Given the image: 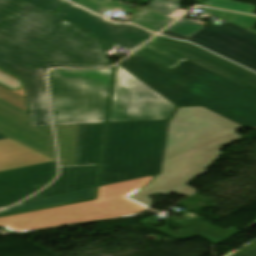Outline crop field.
<instances>
[{
    "label": "crop field",
    "mask_w": 256,
    "mask_h": 256,
    "mask_svg": "<svg viewBox=\"0 0 256 256\" xmlns=\"http://www.w3.org/2000/svg\"><path fill=\"white\" fill-rule=\"evenodd\" d=\"M95 189L96 188L79 191V192L63 194V195H58V196H53V197H48V198H43V199L27 201V202H24V203L16 206V207H12L8 210L1 211L0 216L17 213V212H22V211H27V210H32V209H37V208L58 205V204L88 200V199L93 198Z\"/></svg>",
    "instance_id": "obj_18"
},
{
    "label": "crop field",
    "mask_w": 256,
    "mask_h": 256,
    "mask_svg": "<svg viewBox=\"0 0 256 256\" xmlns=\"http://www.w3.org/2000/svg\"><path fill=\"white\" fill-rule=\"evenodd\" d=\"M108 122L170 119L176 106L120 66Z\"/></svg>",
    "instance_id": "obj_7"
},
{
    "label": "crop field",
    "mask_w": 256,
    "mask_h": 256,
    "mask_svg": "<svg viewBox=\"0 0 256 256\" xmlns=\"http://www.w3.org/2000/svg\"><path fill=\"white\" fill-rule=\"evenodd\" d=\"M0 99L28 112L26 98L20 95H17L1 86H0Z\"/></svg>",
    "instance_id": "obj_24"
},
{
    "label": "crop field",
    "mask_w": 256,
    "mask_h": 256,
    "mask_svg": "<svg viewBox=\"0 0 256 256\" xmlns=\"http://www.w3.org/2000/svg\"><path fill=\"white\" fill-rule=\"evenodd\" d=\"M242 128L203 107L179 108L170 121L162 175L130 198L150 207L153 201L147 197L155 193L168 195L183 186L174 193L197 194L184 186L207 171L222 154L221 147L241 139L235 132Z\"/></svg>",
    "instance_id": "obj_2"
},
{
    "label": "crop field",
    "mask_w": 256,
    "mask_h": 256,
    "mask_svg": "<svg viewBox=\"0 0 256 256\" xmlns=\"http://www.w3.org/2000/svg\"><path fill=\"white\" fill-rule=\"evenodd\" d=\"M61 166L74 165L79 125L55 126Z\"/></svg>",
    "instance_id": "obj_19"
},
{
    "label": "crop field",
    "mask_w": 256,
    "mask_h": 256,
    "mask_svg": "<svg viewBox=\"0 0 256 256\" xmlns=\"http://www.w3.org/2000/svg\"><path fill=\"white\" fill-rule=\"evenodd\" d=\"M0 132L56 160L51 126L32 128L30 114L2 100Z\"/></svg>",
    "instance_id": "obj_11"
},
{
    "label": "crop field",
    "mask_w": 256,
    "mask_h": 256,
    "mask_svg": "<svg viewBox=\"0 0 256 256\" xmlns=\"http://www.w3.org/2000/svg\"><path fill=\"white\" fill-rule=\"evenodd\" d=\"M226 256H256V240L249 242L244 247L233 251Z\"/></svg>",
    "instance_id": "obj_27"
},
{
    "label": "crop field",
    "mask_w": 256,
    "mask_h": 256,
    "mask_svg": "<svg viewBox=\"0 0 256 256\" xmlns=\"http://www.w3.org/2000/svg\"><path fill=\"white\" fill-rule=\"evenodd\" d=\"M99 166L61 167V176L50 188L32 199L96 187ZM30 199V200H32Z\"/></svg>",
    "instance_id": "obj_14"
},
{
    "label": "crop field",
    "mask_w": 256,
    "mask_h": 256,
    "mask_svg": "<svg viewBox=\"0 0 256 256\" xmlns=\"http://www.w3.org/2000/svg\"><path fill=\"white\" fill-rule=\"evenodd\" d=\"M186 12H187V10L180 9L177 12H175L174 14H172L170 17L177 19L180 16H182L183 14H185Z\"/></svg>",
    "instance_id": "obj_29"
},
{
    "label": "crop field",
    "mask_w": 256,
    "mask_h": 256,
    "mask_svg": "<svg viewBox=\"0 0 256 256\" xmlns=\"http://www.w3.org/2000/svg\"><path fill=\"white\" fill-rule=\"evenodd\" d=\"M34 6H37L49 13L55 11L67 1L64 0H24Z\"/></svg>",
    "instance_id": "obj_25"
},
{
    "label": "crop field",
    "mask_w": 256,
    "mask_h": 256,
    "mask_svg": "<svg viewBox=\"0 0 256 256\" xmlns=\"http://www.w3.org/2000/svg\"><path fill=\"white\" fill-rule=\"evenodd\" d=\"M168 124H109L98 187L161 173Z\"/></svg>",
    "instance_id": "obj_4"
},
{
    "label": "crop field",
    "mask_w": 256,
    "mask_h": 256,
    "mask_svg": "<svg viewBox=\"0 0 256 256\" xmlns=\"http://www.w3.org/2000/svg\"><path fill=\"white\" fill-rule=\"evenodd\" d=\"M119 65L176 106L202 105L256 129V93L189 60L169 71L134 53Z\"/></svg>",
    "instance_id": "obj_3"
},
{
    "label": "crop field",
    "mask_w": 256,
    "mask_h": 256,
    "mask_svg": "<svg viewBox=\"0 0 256 256\" xmlns=\"http://www.w3.org/2000/svg\"><path fill=\"white\" fill-rule=\"evenodd\" d=\"M164 35L189 40L256 71V34L231 23L207 26L191 38L164 31Z\"/></svg>",
    "instance_id": "obj_9"
},
{
    "label": "crop field",
    "mask_w": 256,
    "mask_h": 256,
    "mask_svg": "<svg viewBox=\"0 0 256 256\" xmlns=\"http://www.w3.org/2000/svg\"><path fill=\"white\" fill-rule=\"evenodd\" d=\"M73 2L92 10L99 15H102L99 13L100 11H106L109 9L113 11L119 8L137 17L131 23L138 24L154 32H160L174 21L160 13L147 8L137 14L129 7L112 0H75Z\"/></svg>",
    "instance_id": "obj_16"
},
{
    "label": "crop field",
    "mask_w": 256,
    "mask_h": 256,
    "mask_svg": "<svg viewBox=\"0 0 256 256\" xmlns=\"http://www.w3.org/2000/svg\"><path fill=\"white\" fill-rule=\"evenodd\" d=\"M57 173L56 161L0 172V208L10 206L45 187Z\"/></svg>",
    "instance_id": "obj_12"
},
{
    "label": "crop field",
    "mask_w": 256,
    "mask_h": 256,
    "mask_svg": "<svg viewBox=\"0 0 256 256\" xmlns=\"http://www.w3.org/2000/svg\"><path fill=\"white\" fill-rule=\"evenodd\" d=\"M154 176L98 188L94 201L58 206L0 217V226L22 232L82 222L125 217L148 207L128 198L151 182Z\"/></svg>",
    "instance_id": "obj_5"
},
{
    "label": "crop field",
    "mask_w": 256,
    "mask_h": 256,
    "mask_svg": "<svg viewBox=\"0 0 256 256\" xmlns=\"http://www.w3.org/2000/svg\"><path fill=\"white\" fill-rule=\"evenodd\" d=\"M153 218H156V217L150 216L138 223L141 225L153 228L155 230H158L160 232H163L177 240H188V239L198 236V237H202L204 239L210 240L213 244L216 245L217 243L225 240L226 238H228V237L234 235L235 233H237L238 231H240L234 226H232L226 230H223V229L216 227L210 223H206V222H202V221H198V220L181 219L179 217L172 219L171 221H169L167 223L175 222L179 226L187 229L188 231L180 228L179 226H177L175 224H171L172 226L179 228L176 231H172V230H170V225L159 227V228L150 226V225H154V226L162 225V224L152 220ZM146 224H149V225H146Z\"/></svg>",
    "instance_id": "obj_13"
},
{
    "label": "crop field",
    "mask_w": 256,
    "mask_h": 256,
    "mask_svg": "<svg viewBox=\"0 0 256 256\" xmlns=\"http://www.w3.org/2000/svg\"><path fill=\"white\" fill-rule=\"evenodd\" d=\"M136 53L172 70L189 59L242 86L256 90V74L190 43L158 36Z\"/></svg>",
    "instance_id": "obj_8"
},
{
    "label": "crop field",
    "mask_w": 256,
    "mask_h": 256,
    "mask_svg": "<svg viewBox=\"0 0 256 256\" xmlns=\"http://www.w3.org/2000/svg\"><path fill=\"white\" fill-rule=\"evenodd\" d=\"M56 15L131 51L154 36V34L137 26L105 20L71 3L63 7Z\"/></svg>",
    "instance_id": "obj_10"
},
{
    "label": "crop field",
    "mask_w": 256,
    "mask_h": 256,
    "mask_svg": "<svg viewBox=\"0 0 256 256\" xmlns=\"http://www.w3.org/2000/svg\"><path fill=\"white\" fill-rule=\"evenodd\" d=\"M206 27L202 23H197L190 21L186 18L181 19L176 24L168 28L166 31H170L173 33L181 34L184 36L191 37L196 34L198 31Z\"/></svg>",
    "instance_id": "obj_22"
},
{
    "label": "crop field",
    "mask_w": 256,
    "mask_h": 256,
    "mask_svg": "<svg viewBox=\"0 0 256 256\" xmlns=\"http://www.w3.org/2000/svg\"><path fill=\"white\" fill-rule=\"evenodd\" d=\"M180 5L181 1L179 0H153L147 7L169 16L180 9Z\"/></svg>",
    "instance_id": "obj_23"
},
{
    "label": "crop field",
    "mask_w": 256,
    "mask_h": 256,
    "mask_svg": "<svg viewBox=\"0 0 256 256\" xmlns=\"http://www.w3.org/2000/svg\"><path fill=\"white\" fill-rule=\"evenodd\" d=\"M95 39L66 41L62 20L22 0H0V67L25 78L33 127L51 125L45 68H104Z\"/></svg>",
    "instance_id": "obj_1"
},
{
    "label": "crop field",
    "mask_w": 256,
    "mask_h": 256,
    "mask_svg": "<svg viewBox=\"0 0 256 256\" xmlns=\"http://www.w3.org/2000/svg\"><path fill=\"white\" fill-rule=\"evenodd\" d=\"M63 23H64L67 40L92 38L80 31H78V29H79L78 27H75V26L68 24L64 21H63Z\"/></svg>",
    "instance_id": "obj_26"
},
{
    "label": "crop field",
    "mask_w": 256,
    "mask_h": 256,
    "mask_svg": "<svg viewBox=\"0 0 256 256\" xmlns=\"http://www.w3.org/2000/svg\"><path fill=\"white\" fill-rule=\"evenodd\" d=\"M0 82H2V83H4V84H6V85H8V86L13 88V86L16 83V80H14V79H12V78H10V77L0 73Z\"/></svg>",
    "instance_id": "obj_28"
},
{
    "label": "crop field",
    "mask_w": 256,
    "mask_h": 256,
    "mask_svg": "<svg viewBox=\"0 0 256 256\" xmlns=\"http://www.w3.org/2000/svg\"><path fill=\"white\" fill-rule=\"evenodd\" d=\"M113 69L49 72L55 125L105 123Z\"/></svg>",
    "instance_id": "obj_6"
},
{
    "label": "crop field",
    "mask_w": 256,
    "mask_h": 256,
    "mask_svg": "<svg viewBox=\"0 0 256 256\" xmlns=\"http://www.w3.org/2000/svg\"><path fill=\"white\" fill-rule=\"evenodd\" d=\"M201 9H203L211 14H214L226 21H229L235 25H238L244 29H247L251 32L256 33V31L252 30L256 25V17L255 16L217 11V10L208 9V8H201Z\"/></svg>",
    "instance_id": "obj_20"
},
{
    "label": "crop field",
    "mask_w": 256,
    "mask_h": 256,
    "mask_svg": "<svg viewBox=\"0 0 256 256\" xmlns=\"http://www.w3.org/2000/svg\"><path fill=\"white\" fill-rule=\"evenodd\" d=\"M50 161L54 160L0 133V171Z\"/></svg>",
    "instance_id": "obj_15"
},
{
    "label": "crop field",
    "mask_w": 256,
    "mask_h": 256,
    "mask_svg": "<svg viewBox=\"0 0 256 256\" xmlns=\"http://www.w3.org/2000/svg\"><path fill=\"white\" fill-rule=\"evenodd\" d=\"M204 6L234 10L239 12L251 13L254 14L256 6L249 4L238 3L231 0H207L204 3Z\"/></svg>",
    "instance_id": "obj_21"
},
{
    "label": "crop field",
    "mask_w": 256,
    "mask_h": 256,
    "mask_svg": "<svg viewBox=\"0 0 256 256\" xmlns=\"http://www.w3.org/2000/svg\"><path fill=\"white\" fill-rule=\"evenodd\" d=\"M105 124L80 125L75 165L99 164Z\"/></svg>",
    "instance_id": "obj_17"
}]
</instances>
